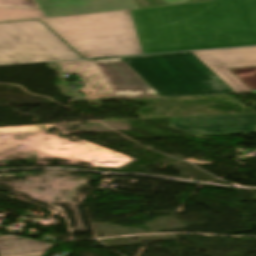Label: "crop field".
Here are the masks:
<instances>
[{"label":"crop field","mask_w":256,"mask_h":256,"mask_svg":"<svg viewBox=\"0 0 256 256\" xmlns=\"http://www.w3.org/2000/svg\"><path fill=\"white\" fill-rule=\"evenodd\" d=\"M129 11L143 53L256 45V0Z\"/></svg>","instance_id":"obj_1"},{"label":"crop field","mask_w":256,"mask_h":256,"mask_svg":"<svg viewBox=\"0 0 256 256\" xmlns=\"http://www.w3.org/2000/svg\"><path fill=\"white\" fill-rule=\"evenodd\" d=\"M38 18L84 58L142 53L128 10L46 19L40 9L0 8V22Z\"/></svg>","instance_id":"obj_2"},{"label":"crop field","mask_w":256,"mask_h":256,"mask_svg":"<svg viewBox=\"0 0 256 256\" xmlns=\"http://www.w3.org/2000/svg\"><path fill=\"white\" fill-rule=\"evenodd\" d=\"M121 58L162 97L234 93L191 52Z\"/></svg>","instance_id":"obj_3"},{"label":"crop field","mask_w":256,"mask_h":256,"mask_svg":"<svg viewBox=\"0 0 256 256\" xmlns=\"http://www.w3.org/2000/svg\"><path fill=\"white\" fill-rule=\"evenodd\" d=\"M79 58L38 20L0 24V65Z\"/></svg>","instance_id":"obj_4"},{"label":"crop field","mask_w":256,"mask_h":256,"mask_svg":"<svg viewBox=\"0 0 256 256\" xmlns=\"http://www.w3.org/2000/svg\"><path fill=\"white\" fill-rule=\"evenodd\" d=\"M235 93L251 92L227 68L255 66L256 47L192 52Z\"/></svg>","instance_id":"obj_5"},{"label":"crop field","mask_w":256,"mask_h":256,"mask_svg":"<svg viewBox=\"0 0 256 256\" xmlns=\"http://www.w3.org/2000/svg\"><path fill=\"white\" fill-rule=\"evenodd\" d=\"M256 114L171 118L170 126L196 136L253 133Z\"/></svg>","instance_id":"obj_6"},{"label":"crop field","mask_w":256,"mask_h":256,"mask_svg":"<svg viewBox=\"0 0 256 256\" xmlns=\"http://www.w3.org/2000/svg\"><path fill=\"white\" fill-rule=\"evenodd\" d=\"M46 18L137 8L133 0H35Z\"/></svg>","instance_id":"obj_7"},{"label":"crop field","mask_w":256,"mask_h":256,"mask_svg":"<svg viewBox=\"0 0 256 256\" xmlns=\"http://www.w3.org/2000/svg\"><path fill=\"white\" fill-rule=\"evenodd\" d=\"M101 72L109 83L111 89L113 90L116 96H136V95H152L161 97L153 88H151L137 73H135L128 65H126L121 58L108 59V60H99L96 61ZM114 63L118 69L124 74L129 84L132 86L135 93H132L128 84L124 78L117 72V70L111 65ZM105 64L108 65L117 81L123 88V92L120 91L111 74L109 73Z\"/></svg>","instance_id":"obj_8"},{"label":"crop field","mask_w":256,"mask_h":256,"mask_svg":"<svg viewBox=\"0 0 256 256\" xmlns=\"http://www.w3.org/2000/svg\"><path fill=\"white\" fill-rule=\"evenodd\" d=\"M58 66L62 73L74 74L81 79L85 86L76 91L83 92L87 98L113 95L94 60L63 62Z\"/></svg>","instance_id":"obj_9"},{"label":"crop field","mask_w":256,"mask_h":256,"mask_svg":"<svg viewBox=\"0 0 256 256\" xmlns=\"http://www.w3.org/2000/svg\"><path fill=\"white\" fill-rule=\"evenodd\" d=\"M52 244L16 235L0 236V256L41 252Z\"/></svg>","instance_id":"obj_10"},{"label":"crop field","mask_w":256,"mask_h":256,"mask_svg":"<svg viewBox=\"0 0 256 256\" xmlns=\"http://www.w3.org/2000/svg\"><path fill=\"white\" fill-rule=\"evenodd\" d=\"M250 90H256V66L229 69Z\"/></svg>","instance_id":"obj_11"},{"label":"crop field","mask_w":256,"mask_h":256,"mask_svg":"<svg viewBox=\"0 0 256 256\" xmlns=\"http://www.w3.org/2000/svg\"><path fill=\"white\" fill-rule=\"evenodd\" d=\"M0 7L38 8L34 0H0Z\"/></svg>","instance_id":"obj_12"},{"label":"crop field","mask_w":256,"mask_h":256,"mask_svg":"<svg viewBox=\"0 0 256 256\" xmlns=\"http://www.w3.org/2000/svg\"><path fill=\"white\" fill-rule=\"evenodd\" d=\"M138 8L162 6L164 3L161 0H134Z\"/></svg>","instance_id":"obj_13"},{"label":"crop field","mask_w":256,"mask_h":256,"mask_svg":"<svg viewBox=\"0 0 256 256\" xmlns=\"http://www.w3.org/2000/svg\"><path fill=\"white\" fill-rule=\"evenodd\" d=\"M165 5L180 4V3H191L190 0H162Z\"/></svg>","instance_id":"obj_14"},{"label":"crop field","mask_w":256,"mask_h":256,"mask_svg":"<svg viewBox=\"0 0 256 256\" xmlns=\"http://www.w3.org/2000/svg\"><path fill=\"white\" fill-rule=\"evenodd\" d=\"M192 3H196V2H203V1H211V0H191Z\"/></svg>","instance_id":"obj_15"},{"label":"crop field","mask_w":256,"mask_h":256,"mask_svg":"<svg viewBox=\"0 0 256 256\" xmlns=\"http://www.w3.org/2000/svg\"><path fill=\"white\" fill-rule=\"evenodd\" d=\"M254 133H256V125H255V132Z\"/></svg>","instance_id":"obj_16"},{"label":"crop field","mask_w":256,"mask_h":256,"mask_svg":"<svg viewBox=\"0 0 256 256\" xmlns=\"http://www.w3.org/2000/svg\"><path fill=\"white\" fill-rule=\"evenodd\" d=\"M33 256H37V255H33Z\"/></svg>","instance_id":"obj_17"},{"label":"crop field","mask_w":256,"mask_h":256,"mask_svg":"<svg viewBox=\"0 0 256 256\" xmlns=\"http://www.w3.org/2000/svg\"><path fill=\"white\" fill-rule=\"evenodd\" d=\"M255 124H256V122H255Z\"/></svg>","instance_id":"obj_18"}]
</instances>
